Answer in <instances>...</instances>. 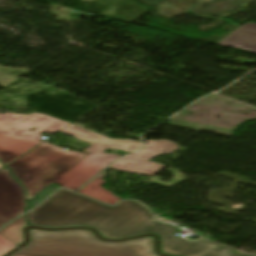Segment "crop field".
<instances>
[{
	"instance_id": "obj_8",
	"label": "crop field",
	"mask_w": 256,
	"mask_h": 256,
	"mask_svg": "<svg viewBox=\"0 0 256 256\" xmlns=\"http://www.w3.org/2000/svg\"><path fill=\"white\" fill-rule=\"evenodd\" d=\"M217 45L234 47L256 53V24L246 23L242 25Z\"/></svg>"
},
{
	"instance_id": "obj_6",
	"label": "crop field",
	"mask_w": 256,
	"mask_h": 256,
	"mask_svg": "<svg viewBox=\"0 0 256 256\" xmlns=\"http://www.w3.org/2000/svg\"><path fill=\"white\" fill-rule=\"evenodd\" d=\"M178 149H180L178 145L167 140H150L146 143L145 149L120 159L110 167L119 171L151 176L162 169L165 165L152 163L148 160L160 154L172 153Z\"/></svg>"
},
{
	"instance_id": "obj_4",
	"label": "crop field",
	"mask_w": 256,
	"mask_h": 256,
	"mask_svg": "<svg viewBox=\"0 0 256 256\" xmlns=\"http://www.w3.org/2000/svg\"><path fill=\"white\" fill-rule=\"evenodd\" d=\"M80 139L93 143L92 146L84 150L90 152V155L58 178L54 183L64 187L76 190L89 181L92 177L102 171L105 167L111 164L120 155H112L104 153L106 148L113 150H125L133 152L141 148L142 144L139 141L126 139H109L98 133L78 127L76 125H69L64 130L60 131Z\"/></svg>"
},
{
	"instance_id": "obj_2",
	"label": "crop field",
	"mask_w": 256,
	"mask_h": 256,
	"mask_svg": "<svg viewBox=\"0 0 256 256\" xmlns=\"http://www.w3.org/2000/svg\"><path fill=\"white\" fill-rule=\"evenodd\" d=\"M30 242L10 256H160L154 237L120 242L102 241L90 230L30 229Z\"/></svg>"
},
{
	"instance_id": "obj_10",
	"label": "crop field",
	"mask_w": 256,
	"mask_h": 256,
	"mask_svg": "<svg viewBox=\"0 0 256 256\" xmlns=\"http://www.w3.org/2000/svg\"><path fill=\"white\" fill-rule=\"evenodd\" d=\"M107 170L102 172L99 176H97L92 182H90L86 187L80 189L78 193L88 195L90 197L96 198L98 200L104 201L113 205L117 201H119L120 197H115L111 192L107 191L101 185L105 183L103 177Z\"/></svg>"
},
{
	"instance_id": "obj_3",
	"label": "crop field",
	"mask_w": 256,
	"mask_h": 256,
	"mask_svg": "<svg viewBox=\"0 0 256 256\" xmlns=\"http://www.w3.org/2000/svg\"><path fill=\"white\" fill-rule=\"evenodd\" d=\"M42 143L7 166L25 188L27 201L88 154Z\"/></svg>"
},
{
	"instance_id": "obj_7",
	"label": "crop field",
	"mask_w": 256,
	"mask_h": 256,
	"mask_svg": "<svg viewBox=\"0 0 256 256\" xmlns=\"http://www.w3.org/2000/svg\"><path fill=\"white\" fill-rule=\"evenodd\" d=\"M24 209L21 186L7 169L0 170V227L16 217Z\"/></svg>"
},
{
	"instance_id": "obj_1",
	"label": "crop field",
	"mask_w": 256,
	"mask_h": 256,
	"mask_svg": "<svg viewBox=\"0 0 256 256\" xmlns=\"http://www.w3.org/2000/svg\"><path fill=\"white\" fill-rule=\"evenodd\" d=\"M26 216L31 225L88 226L108 239L155 233L160 236L161 252L175 256H256L230 254L231 248L207 240H182L174 236L175 227L158 222L143 205L130 200L109 207L61 189Z\"/></svg>"
},
{
	"instance_id": "obj_12",
	"label": "crop field",
	"mask_w": 256,
	"mask_h": 256,
	"mask_svg": "<svg viewBox=\"0 0 256 256\" xmlns=\"http://www.w3.org/2000/svg\"><path fill=\"white\" fill-rule=\"evenodd\" d=\"M59 186L51 184L48 186L45 190H43L41 193L36 195L34 198L29 200L27 203L29 205L28 210L37 205L39 202H41L43 199H45L48 195H50L54 190H56Z\"/></svg>"
},
{
	"instance_id": "obj_14",
	"label": "crop field",
	"mask_w": 256,
	"mask_h": 256,
	"mask_svg": "<svg viewBox=\"0 0 256 256\" xmlns=\"http://www.w3.org/2000/svg\"><path fill=\"white\" fill-rule=\"evenodd\" d=\"M140 1L147 4L148 6L154 7L165 0H140Z\"/></svg>"
},
{
	"instance_id": "obj_5",
	"label": "crop field",
	"mask_w": 256,
	"mask_h": 256,
	"mask_svg": "<svg viewBox=\"0 0 256 256\" xmlns=\"http://www.w3.org/2000/svg\"><path fill=\"white\" fill-rule=\"evenodd\" d=\"M69 124L71 123L42 114H0V160L5 165L8 164L40 143L42 132L54 134ZM32 127H35V130L30 132Z\"/></svg>"
},
{
	"instance_id": "obj_11",
	"label": "crop field",
	"mask_w": 256,
	"mask_h": 256,
	"mask_svg": "<svg viewBox=\"0 0 256 256\" xmlns=\"http://www.w3.org/2000/svg\"><path fill=\"white\" fill-rule=\"evenodd\" d=\"M27 225L28 224L25 216H22L10 225L0 230V235L18 246L24 242V235L22 229Z\"/></svg>"
},
{
	"instance_id": "obj_9",
	"label": "crop field",
	"mask_w": 256,
	"mask_h": 256,
	"mask_svg": "<svg viewBox=\"0 0 256 256\" xmlns=\"http://www.w3.org/2000/svg\"><path fill=\"white\" fill-rule=\"evenodd\" d=\"M241 5L242 4L237 0H212L210 2L201 1L191 11L193 13L218 17L225 13L235 11Z\"/></svg>"
},
{
	"instance_id": "obj_13",
	"label": "crop field",
	"mask_w": 256,
	"mask_h": 256,
	"mask_svg": "<svg viewBox=\"0 0 256 256\" xmlns=\"http://www.w3.org/2000/svg\"><path fill=\"white\" fill-rule=\"evenodd\" d=\"M14 244L0 236V256H3L5 253L10 251L11 249L15 248Z\"/></svg>"
},
{
	"instance_id": "obj_15",
	"label": "crop field",
	"mask_w": 256,
	"mask_h": 256,
	"mask_svg": "<svg viewBox=\"0 0 256 256\" xmlns=\"http://www.w3.org/2000/svg\"><path fill=\"white\" fill-rule=\"evenodd\" d=\"M3 166L1 163H0V167Z\"/></svg>"
}]
</instances>
